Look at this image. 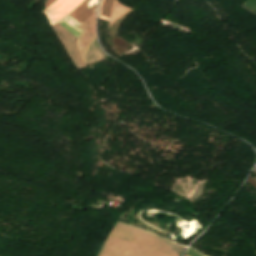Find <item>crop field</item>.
Returning a JSON list of instances; mask_svg holds the SVG:
<instances>
[{
    "instance_id": "crop-field-1",
    "label": "crop field",
    "mask_w": 256,
    "mask_h": 256,
    "mask_svg": "<svg viewBox=\"0 0 256 256\" xmlns=\"http://www.w3.org/2000/svg\"><path fill=\"white\" fill-rule=\"evenodd\" d=\"M173 243L118 222L98 256H178L184 247Z\"/></svg>"
},
{
    "instance_id": "crop-field-2",
    "label": "crop field",
    "mask_w": 256,
    "mask_h": 256,
    "mask_svg": "<svg viewBox=\"0 0 256 256\" xmlns=\"http://www.w3.org/2000/svg\"><path fill=\"white\" fill-rule=\"evenodd\" d=\"M84 0H56L49 6L44 14L47 15L51 26L62 20L76 9Z\"/></svg>"
},
{
    "instance_id": "crop-field-3",
    "label": "crop field",
    "mask_w": 256,
    "mask_h": 256,
    "mask_svg": "<svg viewBox=\"0 0 256 256\" xmlns=\"http://www.w3.org/2000/svg\"><path fill=\"white\" fill-rule=\"evenodd\" d=\"M52 28L62 41L65 48L67 49L76 67L78 69L85 67L82 59L79 56V52L76 45V39L72 36V34L59 24H56Z\"/></svg>"
},
{
    "instance_id": "crop-field-4",
    "label": "crop field",
    "mask_w": 256,
    "mask_h": 256,
    "mask_svg": "<svg viewBox=\"0 0 256 256\" xmlns=\"http://www.w3.org/2000/svg\"><path fill=\"white\" fill-rule=\"evenodd\" d=\"M99 0H85L76 10L70 15L80 24L96 11Z\"/></svg>"
},
{
    "instance_id": "crop-field-5",
    "label": "crop field",
    "mask_w": 256,
    "mask_h": 256,
    "mask_svg": "<svg viewBox=\"0 0 256 256\" xmlns=\"http://www.w3.org/2000/svg\"><path fill=\"white\" fill-rule=\"evenodd\" d=\"M59 24H61L67 30H69L76 39L84 32L82 29L78 27L80 24L76 20H74L70 15L63 19L62 21H60Z\"/></svg>"
},
{
    "instance_id": "crop-field-6",
    "label": "crop field",
    "mask_w": 256,
    "mask_h": 256,
    "mask_svg": "<svg viewBox=\"0 0 256 256\" xmlns=\"http://www.w3.org/2000/svg\"><path fill=\"white\" fill-rule=\"evenodd\" d=\"M112 0H102L99 9V17L109 21L111 12Z\"/></svg>"
},
{
    "instance_id": "crop-field-7",
    "label": "crop field",
    "mask_w": 256,
    "mask_h": 256,
    "mask_svg": "<svg viewBox=\"0 0 256 256\" xmlns=\"http://www.w3.org/2000/svg\"><path fill=\"white\" fill-rule=\"evenodd\" d=\"M189 250H191V251H193V252H195V253H198V254L202 255V253L197 252L196 250H194V249L191 248V247H189ZM189 250H187L186 254H188V255H190V256H200V255L195 254V253H193V252H191V251H189ZM186 254H185V255H186ZM202 256H207V255L203 254Z\"/></svg>"
},
{
    "instance_id": "crop-field-8",
    "label": "crop field",
    "mask_w": 256,
    "mask_h": 256,
    "mask_svg": "<svg viewBox=\"0 0 256 256\" xmlns=\"http://www.w3.org/2000/svg\"><path fill=\"white\" fill-rule=\"evenodd\" d=\"M55 0H48L45 4V8H47L50 4H52Z\"/></svg>"
},
{
    "instance_id": "crop-field-9",
    "label": "crop field",
    "mask_w": 256,
    "mask_h": 256,
    "mask_svg": "<svg viewBox=\"0 0 256 256\" xmlns=\"http://www.w3.org/2000/svg\"><path fill=\"white\" fill-rule=\"evenodd\" d=\"M254 172H256V167H255V169H254ZM256 179V178H255Z\"/></svg>"
}]
</instances>
